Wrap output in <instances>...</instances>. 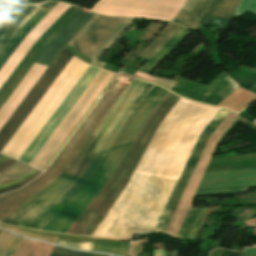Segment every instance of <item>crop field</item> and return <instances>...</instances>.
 Returning a JSON list of instances; mask_svg holds the SVG:
<instances>
[{
  "mask_svg": "<svg viewBox=\"0 0 256 256\" xmlns=\"http://www.w3.org/2000/svg\"><path fill=\"white\" fill-rule=\"evenodd\" d=\"M179 25L168 23L157 37L138 56L149 60L177 30Z\"/></svg>",
  "mask_w": 256,
  "mask_h": 256,
  "instance_id": "crop-field-18",
  "label": "crop field"
},
{
  "mask_svg": "<svg viewBox=\"0 0 256 256\" xmlns=\"http://www.w3.org/2000/svg\"><path fill=\"white\" fill-rule=\"evenodd\" d=\"M132 20L96 14L67 44L93 60Z\"/></svg>",
  "mask_w": 256,
  "mask_h": 256,
  "instance_id": "crop-field-8",
  "label": "crop field"
},
{
  "mask_svg": "<svg viewBox=\"0 0 256 256\" xmlns=\"http://www.w3.org/2000/svg\"><path fill=\"white\" fill-rule=\"evenodd\" d=\"M95 15L92 13H88L86 11H81L47 46L44 52L39 56L36 60V63L44 65L48 67L60 49ZM39 65L34 64L16 88L12 91L3 105L0 107V117L4 113V111L8 108L11 102L15 99L21 89L25 86L28 80L32 77L35 71L38 69ZM46 67L40 66L33 77L29 80L26 86L22 89L16 99L12 102L9 108L5 111V113L0 118V128L7 121L22 99L26 96L41 74L45 71Z\"/></svg>",
  "mask_w": 256,
  "mask_h": 256,
  "instance_id": "crop-field-6",
  "label": "crop field"
},
{
  "mask_svg": "<svg viewBox=\"0 0 256 256\" xmlns=\"http://www.w3.org/2000/svg\"><path fill=\"white\" fill-rule=\"evenodd\" d=\"M114 73L100 70L78 101L74 104L56 130L52 133L30 165L42 170L81 117L101 93Z\"/></svg>",
  "mask_w": 256,
  "mask_h": 256,
  "instance_id": "crop-field-7",
  "label": "crop field"
},
{
  "mask_svg": "<svg viewBox=\"0 0 256 256\" xmlns=\"http://www.w3.org/2000/svg\"><path fill=\"white\" fill-rule=\"evenodd\" d=\"M166 91L154 86L135 110L91 178L42 229L65 233L111 176L139 127Z\"/></svg>",
  "mask_w": 256,
  "mask_h": 256,
  "instance_id": "crop-field-3",
  "label": "crop field"
},
{
  "mask_svg": "<svg viewBox=\"0 0 256 256\" xmlns=\"http://www.w3.org/2000/svg\"><path fill=\"white\" fill-rule=\"evenodd\" d=\"M145 79H148V80L152 81L153 77L147 75V76L145 77Z\"/></svg>",
  "mask_w": 256,
  "mask_h": 256,
  "instance_id": "crop-field-30",
  "label": "crop field"
},
{
  "mask_svg": "<svg viewBox=\"0 0 256 256\" xmlns=\"http://www.w3.org/2000/svg\"><path fill=\"white\" fill-rule=\"evenodd\" d=\"M51 256H107V255L75 252V251L67 250V249L56 246Z\"/></svg>",
  "mask_w": 256,
  "mask_h": 256,
  "instance_id": "crop-field-23",
  "label": "crop field"
},
{
  "mask_svg": "<svg viewBox=\"0 0 256 256\" xmlns=\"http://www.w3.org/2000/svg\"><path fill=\"white\" fill-rule=\"evenodd\" d=\"M87 67L73 56L1 153L19 159Z\"/></svg>",
  "mask_w": 256,
  "mask_h": 256,
  "instance_id": "crop-field-4",
  "label": "crop field"
},
{
  "mask_svg": "<svg viewBox=\"0 0 256 256\" xmlns=\"http://www.w3.org/2000/svg\"><path fill=\"white\" fill-rule=\"evenodd\" d=\"M256 184V169L205 172L198 188Z\"/></svg>",
  "mask_w": 256,
  "mask_h": 256,
  "instance_id": "crop-field-13",
  "label": "crop field"
},
{
  "mask_svg": "<svg viewBox=\"0 0 256 256\" xmlns=\"http://www.w3.org/2000/svg\"><path fill=\"white\" fill-rule=\"evenodd\" d=\"M0 233H1V230H0Z\"/></svg>",
  "mask_w": 256,
  "mask_h": 256,
  "instance_id": "crop-field-34",
  "label": "crop field"
},
{
  "mask_svg": "<svg viewBox=\"0 0 256 256\" xmlns=\"http://www.w3.org/2000/svg\"><path fill=\"white\" fill-rule=\"evenodd\" d=\"M127 244L113 243V242H94L91 251L113 253L117 255L126 256L128 250Z\"/></svg>",
  "mask_w": 256,
  "mask_h": 256,
  "instance_id": "crop-field-21",
  "label": "crop field"
},
{
  "mask_svg": "<svg viewBox=\"0 0 256 256\" xmlns=\"http://www.w3.org/2000/svg\"><path fill=\"white\" fill-rule=\"evenodd\" d=\"M165 251L161 249L154 250L153 256H164Z\"/></svg>",
  "mask_w": 256,
  "mask_h": 256,
  "instance_id": "crop-field-27",
  "label": "crop field"
},
{
  "mask_svg": "<svg viewBox=\"0 0 256 256\" xmlns=\"http://www.w3.org/2000/svg\"><path fill=\"white\" fill-rule=\"evenodd\" d=\"M98 71L99 69L90 66L88 67V69L79 79V81L76 83V85L64 99V101L61 103V105L58 107L55 113L51 116V118L48 120V122L45 124V126L42 128V130L39 132V134L36 136V138L24 152V154L21 156L20 160L28 164L30 163V161L33 159V157L36 155V153L39 151V149L51 135V133L55 130V128L58 126V124L61 122L64 116L73 106V104L77 101V99L86 89V87L98 73Z\"/></svg>",
  "mask_w": 256,
  "mask_h": 256,
  "instance_id": "crop-field-12",
  "label": "crop field"
},
{
  "mask_svg": "<svg viewBox=\"0 0 256 256\" xmlns=\"http://www.w3.org/2000/svg\"><path fill=\"white\" fill-rule=\"evenodd\" d=\"M16 160L10 158L0 164V171L13 164Z\"/></svg>",
  "mask_w": 256,
  "mask_h": 256,
  "instance_id": "crop-field-25",
  "label": "crop field"
},
{
  "mask_svg": "<svg viewBox=\"0 0 256 256\" xmlns=\"http://www.w3.org/2000/svg\"><path fill=\"white\" fill-rule=\"evenodd\" d=\"M151 86L152 84H146V86L143 88V90L140 92V94L122 116V118L120 119L104 145L101 147L83 176L80 177L79 180L69 190H67L53 205H51L35 222H33L29 226L30 228L41 230L47 224V222L61 209V207L76 193V191L89 179V177L92 175L93 171L101 161L102 157L108 150L109 146L115 139L116 135L124 125L125 121L139 104V102L142 100V98L145 96V94L148 92V90L151 88Z\"/></svg>",
  "mask_w": 256,
  "mask_h": 256,
  "instance_id": "crop-field-10",
  "label": "crop field"
},
{
  "mask_svg": "<svg viewBox=\"0 0 256 256\" xmlns=\"http://www.w3.org/2000/svg\"><path fill=\"white\" fill-rule=\"evenodd\" d=\"M73 55L64 46L52 61L35 86L0 130V151Z\"/></svg>",
  "mask_w": 256,
  "mask_h": 256,
  "instance_id": "crop-field-9",
  "label": "crop field"
},
{
  "mask_svg": "<svg viewBox=\"0 0 256 256\" xmlns=\"http://www.w3.org/2000/svg\"><path fill=\"white\" fill-rule=\"evenodd\" d=\"M243 252H232V251H229L227 256H242Z\"/></svg>",
  "mask_w": 256,
  "mask_h": 256,
  "instance_id": "crop-field-28",
  "label": "crop field"
},
{
  "mask_svg": "<svg viewBox=\"0 0 256 256\" xmlns=\"http://www.w3.org/2000/svg\"><path fill=\"white\" fill-rule=\"evenodd\" d=\"M23 238L2 231L0 234V256H13Z\"/></svg>",
  "mask_w": 256,
  "mask_h": 256,
  "instance_id": "crop-field-20",
  "label": "crop field"
},
{
  "mask_svg": "<svg viewBox=\"0 0 256 256\" xmlns=\"http://www.w3.org/2000/svg\"><path fill=\"white\" fill-rule=\"evenodd\" d=\"M228 111L224 109H219V111L216 113V115L213 117L212 121H216L221 123V121L224 119V117L227 115ZM210 121V123L207 125V127L204 129V131L199 136L190 156L189 159L180 175V178L170 196V199L167 203V206L163 212V215L159 221V224L155 230V232L158 231H164L167 227L177 205L179 198L189 180V177L198 161V158L208 140L210 135L214 132V130L218 127L219 123H215Z\"/></svg>",
  "mask_w": 256,
  "mask_h": 256,
  "instance_id": "crop-field-11",
  "label": "crop field"
},
{
  "mask_svg": "<svg viewBox=\"0 0 256 256\" xmlns=\"http://www.w3.org/2000/svg\"><path fill=\"white\" fill-rule=\"evenodd\" d=\"M145 84L146 82L133 78L63 174L81 176L116 123ZM78 178L76 176L61 175L2 222L28 227Z\"/></svg>",
  "mask_w": 256,
  "mask_h": 256,
  "instance_id": "crop-field-2",
  "label": "crop field"
},
{
  "mask_svg": "<svg viewBox=\"0 0 256 256\" xmlns=\"http://www.w3.org/2000/svg\"><path fill=\"white\" fill-rule=\"evenodd\" d=\"M38 10L32 5L11 6L0 18V52L15 32Z\"/></svg>",
  "mask_w": 256,
  "mask_h": 256,
  "instance_id": "crop-field-14",
  "label": "crop field"
},
{
  "mask_svg": "<svg viewBox=\"0 0 256 256\" xmlns=\"http://www.w3.org/2000/svg\"><path fill=\"white\" fill-rule=\"evenodd\" d=\"M172 256H178V251H173V255Z\"/></svg>",
  "mask_w": 256,
  "mask_h": 256,
  "instance_id": "crop-field-31",
  "label": "crop field"
},
{
  "mask_svg": "<svg viewBox=\"0 0 256 256\" xmlns=\"http://www.w3.org/2000/svg\"><path fill=\"white\" fill-rule=\"evenodd\" d=\"M227 76V74H225L224 72L222 74H220L216 79L219 80L220 82ZM215 80V79H214ZM213 80V81H214ZM212 81V82H213ZM184 81H180L179 83H177L176 85L179 86L181 83H183ZM211 82V83H212ZM219 82V83H220ZM210 83V84H211ZM218 83V81H214L211 85L208 84L206 87L202 86V85H198V84H194L191 82H187L185 81L183 84H181L179 87L174 86L171 91L185 97L188 99H192L195 101L200 102L210 91L207 90L206 88L208 87V89H212L216 84ZM218 83V84H219ZM217 84V85H218ZM216 85V86H217ZM215 86V87H216ZM214 87V88H215ZM213 88V89H214Z\"/></svg>",
  "mask_w": 256,
  "mask_h": 256,
  "instance_id": "crop-field-16",
  "label": "crop field"
},
{
  "mask_svg": "<svg viewBox=\"0 0 256 256\" xmlns=\"http://www.w3.org/2000/svg\"><path fill=\"white\" fill-rule=\"evenodd\" d=\"M40 173V171L36 172L35 174H33L32 176H30L29 178H27L26 180L16 184V185H13V186H9V187H6V188H3V189H0V194L1 193H5V192H9V191H12V190H15V189H18L20 187H22L23 185H25L26 183H28L29 181H31L33 178H35L38 174Z\"/></svg>",
  "mask_w": 256,
  "mask_h": 256,
  "instance_id": "crop-field-24",
  "label": "crop field"
},
{
  "mask_svg": "<svg viewBox=\"0 0 256 256\" xmlns=\"http://www.w3.org/2000/svg\"><path fill=\"white\" fill-rule=\"evenodd\" d=\"M92 65L102 68L105 65V63L95 60Z\"/></svg>",
  "mask_w": 256,
  "mask_h": 256,
  "instance_id": "crop-field-29",
  "label": "crop field"
},
{
  "mask_svg": "<svg viewBox=\"0 0 256 256\" xmlns=\"http://www.w3.org/2000/svg\"><path fill=\"white\" fill-rule=\"evenodd\" d=\"M208 208L190 209L177 236L192 239Z\"/></svg>",
  "mask_w": 256,
  "mask_h": 256,
  "instance_id": "crop-field-17",
  "label": "crop field"
},
{
  "mask_svg": "<svg viewBox=\"0 0 256 256\" xmlns=\"http://www.w3.org/2000/svg\"><path fill=\"white\" fill-rule=\"evenodd\" d=\"M6 159H7V157H5V158H3L2 160H0V162L4 161V160H6Z\"/></svg>",
  "mask_w": 256,
  "mask_h": 256,
  "instance_id": "crop-field-32",
  "label": "crop field"
},
{
  "mask_svg": "<svg viewBox=\"0 0 256 256\" xmlns=\"http://www.w3.org/2000/svg\"><path fill=\"white\" fill-rule=\"evenodd\" d=\"M243 256H256V248H246Z\"/></svg>",
  "mask_w": 256,
  "mask_h": 256,
  "instance_id": "crop-field-26",
  "label": "crop field"
},
{
  "mask_svg": "<svg viewBox=\"0 0 256 256\" xmlns=\"http://www.w3.org/2000/svg\"><path fill=\"white\" fill-rule=\"evenodd\" d=\"M254 186L255 185L197 189L194 196L242 193V192H246L247 188L254 187Z\"/></svg>",
  "mask_w": 256,
  "mask_h": 256,
  "instance_id": "crop-field-22",
  "label": "crop field"
},
{
  "mask_svg": "<svg viewBox=\"0 0 256 256\" xmlns=\"http://www.w3.org/2000/svg\"><path fill=\"white\" fill-rule=\"evenodd\" d=\"M183 27H179L178 30L172 35V37L166 42V44L142 67L139 68L135 75L144 78L150 73L168 54H170L189 34Z\"/></svg>",
  "mask_w": 256,
  "mask_h": 256,
  "instance_id": "crop-field-15",
  "label": "crop field"
},
{
  "mask_svg": "<svg viewBox=\"0 0 256 256\" xmlns=\"http://www.w3.org/2000/svg\"><path fill=\"white\" fill-rule=\"evenodd\" d=\"M68 6L69 5L67 4L59 2L48 13L39 9L16 32V34L13 36V38L10 40V42L0 54V72L47 13L44 19L40 22V24L36 27L33 33L29 36V38L25 41L22 47L18 50V52L14 55L11 61L0 73V91L4 88L7 82L11 79V77L15 74L18 68L32 52V50L36 47V45L45 36V34L49 31V29L58 20V18L62 15V13L67 9Z\"/></svg>",
  "mask_w": 256,
  "mask_h": 256,
  "instance_id": "crop-field-5",
  "label": "crop field"
},
{
  "mask_svg": "<svg viewBox=\"0 0 256 256\" xmlns=\"http://www.w3.org/2000/svg\"><path fill=\"white\" fill-rule=\"evenodd\" d=\"M226 78L234 86H239L236 83H234L228 76ZM226 78L214 90H212L201 102L216 105L229 93H231L236 87L231 85Z\"/></svg>",
  "mask_w": 256,
  "mask_h": 256,
  "instance_id": "crop-field-19",
  "label": "crop field"
},
{
  "mask_svg": "<svg viewBox=\"0 0 256 256\" xmlns=\"http://www.w3.org/2000/svg\"><path fill=\"white\" fill-rule=\"evenodd\" d=\"M215 109L179 100L158 127L137 168L178 178L191 147ZM136 169L92 235L152 232L177 179Z\"/></svg>",
  "mask_w": 256,
  "mask_h": 256,
  "instance_id": "crop-field-1",
  "label": "crop field"
},
{
  "mask_svg": "<svg viewBox=\"0 0 256 256\" xmlns=\"http://www.w3.org/2000/svg\"><path fill=\"white\" fill-rule=\"evenodd\" d=\"M2 157H4V156L1 155V156H0V159H1Z\"/></svg>",
  "mask_w": 256,
  "mask_h": 256,
  "instance_id": "crop-field-33",
  "label": "crop field"
}]
</instances>
